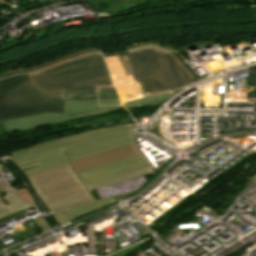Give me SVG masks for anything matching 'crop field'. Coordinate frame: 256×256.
I'll list each match as a JSON object with an SVG mask.
<instances>
[{
  "instance_id": "8a807250",
  "label": "crop field",
  "mask_w": 256,
  "mask_h": 256,
  "mask_svg": "<svg viewBox=\"0 0 256 256\" xmlns=\"http://www.w3.org/2000/svg\"><path fill=\"white\" fill-rule=\"evenodd\" d=\"M133 124L120 125L105 129L79 133L59 138L32 148L12 152L13 161L25 176L37 173L70 161L89 156L100 151L133 142ZM39 164L40 167L24 171L23 169Z\"/></svg>"
},
{
  "instance_id": "ac0d7876",
  "label": "crop field",
  "mask_w": 256,
  "mask_h": 256,
  "mask_svg": "<svg viewBox=\"0 0 256 256\" xmlns=\"http://www.w3.org/2000/svg\"><path fill=\"white\" fill-rule=\"evenodd\" d=\"M105 60L122 89L141 85L144 93H153L181 88L195 81L172 54L152 49Z\"/></svg>"
},
{
  "instance_id": "34b2d1b8",
  "label": "crop field",
  "mask_w": 256,
  "mask_h": 256,
  "mask_svg": "<svg viewBox=\"0 0 256 256\" xmlns=\"http://www.w3.org/2000/svg\"><path fill=\"white\" fill-rule=\"evenodd\" d=\"M30 77L38 90L63 100L64 91L90 92L113 85L103 56L85 57Z\"/></svg>"
},
{
  "instance_id": "412701ff",
  "label": "crop field",
  "mask_w": 256,
  "mask_h": 256,
  "mask_svg": "<svg viewBox=\"0 0 256 256\" xmlns=\"http://www.w3.org/2000/svg\"><path fill=\"white\" fill-rule=\"evenodd\" d=\"M44 113L64 114V101L39 92L29 75L0 81V122Z\"/></svg>"
},
{
  "instance_id": "f4fd0767",
  "label": "crop field",
  "mask_w": 256,
  "mask_h": 256,
  "mask_svg": "<svg viewBox=\"0 0 256 256\" xmlns=\"http://www.w3.org/2000/svg\"><path fill=\"white\" fill-rule=\"evenodd\" d=\"M27 179L50 211L93 201L70 163L27 176Z\"/></svg>"
},
{
  "instance_id": "dd49c442",
  "label": "crop field",
  "mask_w": 256,
  "mask_h": 256,
  "mask_svg": "<svg viewBox=\"0 0 256 256\" xmlns=\"http://www.w3.org/2000/svg\"><path fill=\"white\" fill-rule=\"evenodd\" d=\"M124 109L122 106H111L98 108L97 100L95 101H76L65 100V115L44 114L35 117L2 122L5 131L15 132L22 130L36 129L39 127L61 123L67 119H74L83 116L101 114L111 111Z\"/></svg>"
},
{
  "instance_id": "e52e79f7",
  "label": "crop field",
  "mask_w": 256,
  "mask_h": 256,
  "mask_svg": "<svg viewBox=\"0 0 256 256\" xmlns=\"http://www.w3.org/2000/svg\"><path fill=\"white\" fill-rule=\"evenodd\" d=\"M146 166H148L147 163L143 160L141 155H138L122 161L81 172L77 175L82 179L83 183L87 185L97 181L122 175L131 171H135Z\"/></svg>"
},
{
  "instance_id": "d8731c3e",
  "label": "crop field",
  "mask_w": 256,
  "mask_h": 256,
  "mask_svg": "<svg viewBox=\"0 0 256 256\" xmlns=\"http://www.w3.org/2000/svg\"><path fill=\"white\" fill-rule=\"evenodd\" d=\"M138 155L133 143L109 149L98 154L72 161L73 169L76 173L85 171L97 166H101L114 161L122 160Z\"/></svg>"
},
{
  "instance_id": "5a996713",
  "label": "crop field",
  "mask_w": 256,
  "mask_h": 256,
  "mask_svg": "<svg viewBox=\"0 0 256 256\" xmlns=\"http://www.w3.org/2000/svg\"><path fill=\"white\" fill-rule=\"evenodd\" d=\"M0 185L6 193L4 198L0 195V217L32 207V205L23 202L15 193H12L4 182L0 181Z\"/></svg>"
},
{
  "instance_id": "3316defc",
  "label": "crop field",
  "mask_w": 256,
  "mask_h": 256,
  "mask_svg": "<svg viewBox=\"0 0 256 256\" xmlns=\"http://www.w3.org/2000/svg\"><path fill=\"white\" fill-rule=\"evenodd\" d=\"M150 173H152V170L148 166L146 168H143L141 170H138V171H135V172H132V173H128V174H125V175H122V176H118V177L111 178V179H108V180H104V181H101V182H97V183H94V184H91V185H87L86 187L89 191H92V190L103 188V187H106V186H109V185H112V184H115V183H118V182H121V181H125V180H128V179H133V178H137V177H140V176H143V175H147V174H150Z\"/></svg>"
},
{
  "instance_id": "28ad6ade",
  "label": "crop field",
  "mask_w": 256,
  "mask_h": 256,
  "mask_svg": "<svg viewBox=\"0 0 256 256\" xmlns=\"http://www.w3.org/2000/svg\"><path fill=\"white\" fill-rule=\"evenodd\" d=\"M115 202H118V201L115 198H112V199H108V200L98 201V202L70 208L69 210L74 215V217L76 219H79L83 216L97 212L98 210H100L106 206H109Z\"/></svg>"
},
{
  "instance_id": "d1516ede",
  "label": "crop field",
  "mask_w": 256,
  "mask_h": 256,
  "mask_svg": "<svg viewBox=\"0 0 256 256\" xmlns=\"http://www.w3.org/2000/svg\"><path fill=\"white\" fill-rule=\"evenodd\" d=\"M129 118H131V117H128L126 119H129ZM120 120H125V119H121L119 116L106 117V118H102V119H96L95 121H91L90 123L79 124L77 126L70 127V128H67V129L84 128V127H88V126L105 124V123H110V122H115V121H120ZM61 130H65V129H61ZM61 130H55L53 132H57V131H61ZM53 132H49V133H53ZM49 133H45V134L37 135V136L20 138L18 140H13V141H8L6 143L0 144V147L5 146V145L10 144V143L17 142V141L31 139V138H35V137H38V136H43V135H46V134H49Z\"/></svg>"
},
{
  "instance_id": "22f410ed",
  "label": "crop field",
  "mask_w": 256,
  "mask_h": 256,
  "mask_svg": "<svg viewBox=\"0 0 256 256\" xmlns=\"http://www.w3.org/2000/svg\"><path fill=\"white\" fill-rule=\"evenodd\" d=\"M175 92L176 91H173L171 93H165V94H160V95L140 99V100L133 101V102H129V103L124 104V106L126 108H128L129 106H132V105H137L139 108L148 107V106H155V105L159 104L160 102H162L164 99H166V98L170 97L171 95L175 94Z\"/></svg>"
},
{
  "instance_id": "cbeb9de0",
  "label": "crop field",
  "mask_w": 256,
  "mask_h": 256,
  "mask_svg": "<svg viewBox=\"0 0 256 256\" xmlns=\"http://www.w3.org/2000/svg\"><path fill=\"white\" fill-rule=\"evenodd\" d=\"M92 52H100L98 50H88V51H83V52H78V53H75V54H71V55H68V56H65L63 58H60V59H57V60H54L52 62H49V63H46L44 65H40V66H37L35 68H32V69H29L28 72L29 73H33L35 71H39V70H42L46 67H50V66H54L56 64H59L61 62H64V61H67V60H70L78 55H82V54H87V53H92Z\"/></svg>"
},
{
  "instance_id": "5142ce71",
  "label": "crop field",
  "mask_w": 256,
  "mask_h": 256,
  "mask_svg": "<svg viewBox=\"0 0 256 256\" xmlns=\"http://www.w3.org/2000/svg\"><path fill=\"white\" fill-rule=\"evenodd\" d=\"M65 99L94 100V99H97V97H96V92H90V93L65 92Z\"/></svg>"
},
{
  "instance_id": "d9b57169",
  "label": "crop field",
  "mask_w": 256,
  "mask_h": 256,
  "mask_svg": "<svg viewBox=\"0 0 256 256\" xmlns=\"http://www.w3.org/2000/svg\"><path fill=\"white\" fill-rule=\"evenodd\" d=\"M54 218L59 224H64L66 222L74 220V218L66 210L55 213Z\"/></svg>"
},
{
  "instance_id": "733c2abd",
  "label": "crop field",
  "mask_w": 256,
  "mask_h": 256,
  "mask_svg": "<svg viewBox=\"0 0 256 256\" xmlns=\"http://www.w3.org/2000/svg\"><path fill=\"white\" fill-rule=\"evenodd\" d=\"M118 97L115 91L99 92V99H110Z\"/></svg>"
},
{
  "instance_id": "4a817a6b",
  "label": "crop field",
  "mask_w": 256,
  "mask_h": 256,
  "mask_svg": "<svg viewBox=\"0 0 256 256\" xmlns=\"http://www.w3.org/2000/svg\"><path fill=\"white\" fill-rule=\"evenodd\" d=\"M35 223L37 226H39L42 229L43 232L50 229L49 225L47 224V222L44 218L35 220Z\"/></svg>"
},
{
  "instance_id": "bc2a9ffb",
  "label": "crop field",
  "mask_w": 256,
  "mask_h": 256,
  "mask_svg": "<svg viewBox=\"0 0 256 256\" xmlns=\"http://www.w3.org/2000/svg\"><path fill=\"white\" fill-rule=\"evenodd\" d=\"M100 105L121 104L119 99L99 100Z\"/></svg>"
},
{
  "instance_id": "214f88e0",
  "label": "crop field",
  "mask_w": 256,
  "mask_h": 256,
  "mask_svg": "<svg viewBox=\"0 0 256 256\" xmlns=\"http://www.w3.org/2000/svg\"><path fill=\"white\" fill-rule=\"evenodd\" d=\"M19 73H27V71L26 70L13 71V72H10V73H7V74L0 75V78H5V77L13 76V75L19 74Z\"/></svg>"
},
{
  "instance_id": "92a150f3",
  "label": "crop field",
  "mask_w": 256,
  "mask_h": 256,
  "mask_svg": "<svg viewBox=\"0 0 256 256\" xmlns=\"http://www.w3.org/2000/svg\"><path fill=\"white\" fill-rule=\"evenodd\" d=\"M103 90H115L114 87H109V88H99V91Z\"/></svg>"
},
{
  "instance_id": "dafd665d",
  "label": "crop field",
  "mask_w": 256,
  "mask_h": 256,
  "mask_svg": "<svg viewBox=\"0 0 256 256\" xmlns=\"http://www.w3.org/2000/svg\"><path fill=\"white\" fill-rule=\"evenodd\" d=\"M133 193H131V194H128V195H124V196H120L122 199H125V198H127V197H129L130 195H132Z\"/></svg>"
},
{
  "instance_id": "00972430",
  "label": "crop field",
  "mask_w": 256,
  "mask_h": 256,
  "mask_svg": "<svg viewBox=\"0 0 256 256\" xmlns=\"http://www.w3.org/2000/svg\"><path fill=\"white\" fill-rule=\"evenodd\" d=\"M5 133H6V132H4V133H1V134H5ZM1 134H0V135H1Z\"/></svg>"
}]
</instances>
